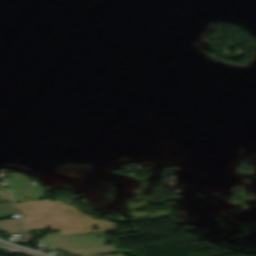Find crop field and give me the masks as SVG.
<instances>
[{"mask_svg":"<svg viewBox=\"0 0 256 256\" xmlns=\"http://www.w3.org/2000/svg\"><path fill=\"white\" fill-rule=\"evenodd\" d=\"M28 230L51 227L59 233L91 232V219L61 200L49 199L16 203Z\"/></svg>","mask_w":256,"mask_h":256,"instance_id":"1","label":"crop field"},{"mask_svg":"<svg viewBox=\"0 0 256 256\" xmlns=\"http://www.w3.org/2000/svg\"><path fill=\"white\" fill-rule=\"evenodd\" d=\"M106 239L97 238L93 235L69 236V235H52L46 237L43 241L45 247L56 249H65L76 252L77 255H96L105 253L118 252L112 246L104 247L100 243H105ZM56 242L57 244H51Z\"/></svg>","mask_w":256,"mask_h":256,"instance_id":"2","label":"crop field"},{"mask_svg":"<svg viewBox=\"0 0 256 256\" xmlns=\"http://www.w3.org/2000/svg\"><path fill=\"white\" fill-rule=\"evenodd\" d=\"M8 182L13 187L16 201L24 200L26 197L34 199L43 196L44 191L37 188L25 176L20 174L8 176Z\"/></svg>","mask_w":256,"mask_h":256,"instance_id":"3","label":"crop field"},{"mask_svg":"<svg viewBox=\"0 0 256 256\" xmlns=\"http://www.w3.org/2000/svg\"><path fill=\"white\" fill-rule=\"evenodd\" d=\"M94 225H98V230L94 231H115L116 224L106 220H94Z\"/></svg>","mask_w":256,"mask_h":256,"instance_id":"4","label":"crop field"},{"mask_svg":"<svg viewBox=\"0 0 256 256\" xmlns=\"http://www.w3.org/2000/svg\"><path fill=\"white\" fill-rule=\"evenodd\" d=\"M17 214L13 204H0V218Z\"/></svg>","mask_w":256,"mask_h":256,"instance_id":"5","label":"crop field"},{"mask_svg":"<svg viewBox=\"0 0 256 256\" xmlns=\"http://www.w3.org/2000/svg\"><path fill=\"white\" fill-rule=\"evenodd\" d=\"M24 233H27V232H22V233H20V234H24ZM15 234H17V233H15Z\"/></svg>","mask_w":256,"mask_h":256,"instance_id":"6","label":"crop field"}]
</instances>
